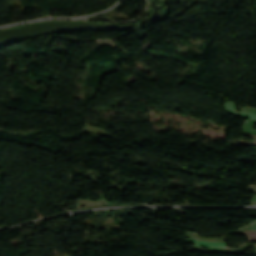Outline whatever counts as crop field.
I'll return each mask as SVG.
<instances>
[{"instance_id": "obj_1", "label": "crop field", "mask_w": 256, "mask_h": 256, "mask_svg": "<svg viewBox=\"0 0 256 256\" xmlns=\"http://www.w3.org/2000/svg\"><path fill=\"white\" fill-rule=\"evenodd\" d=\"M225 106L227 108L228 113H230V114H234V115L247 117V118H251V119L256 120V115L255 114H251V113H247V112H243V111H241L240 114L236 113L235 106H234L233 103H227Z\"/></svg>"}, {"instance_id": "obj_2", "label": "crop field", "mask_w": 256, "mask_h": 256, "mask_svg": "<svg viewBox=\"0 0 256 256\" xmlns=\"http://www.w3.org/2000/svg\"><path fill=\"white\" fill-rule=\"evenodd\" d=\"M186 242L197 243V245H199V246H211V247H223V248H227V247L225 246L226 243L203 242V241L190 240V239H187Z\"/></svg>"}, {"instance_id": "obj_3", "label": "crop field", "mask_w": 256, "mask_h": 256, "mask_svg": "<svg viewBox=\"0 0 256 256\" xmlns=\"http://www.w3.org/2000/svg\"><path fill=\"white\" fill-rule=\"evenodd\" d=\"M234 234H242L246 236L249 241H256V231H238L235 232Z\"/></svg>"}, {"instance_id": "obj_4", "label": "crop field", "mask_w": 256, "mask_h": 256, "mask_svg": "<svg viewBox=\"0 0 256 256\" xmlns=\"http://www.w3.org/2000/svg\"><path fill=\"white\" fill-rule=\"evenodd\" d=\"M239 134L256 138V135L245 133V132H240ZM245 145L256 147V141L255 140H253L252 142L247 141Z\"/></svg>"}, {"instance_id": "obj_5", "label": "crop field", "mask_w": 256, "mask_h": 256, "mask_svg": "<svg viewBox=\"0 0 256 256\" xmlns=\"http://www.w3.org/2000/svg\"><path fill=\"white\" fill-rule=\"evenodd\" d=\"M243 230H256V224L249 226L248 229H243Z\"/></svg>"}, {"instance_id": "obj_6", "label": "crop field", "mask_w": 256, "mask_h": 256, "mask_svg": "<svg viewBox=\"0 0 256 256\" xmlns=\"http://www.w3.org/2000/svg\"><path fill=\"white\" fill-rule=\"evenodd\" d=\"M249 190H252L256 193V186L248 187Z\"/></svg>"}, {"instance_id": "obj_7", "label": "crop field", "mask_w": 256, "mask_h": 256, "mask_svg": "<svg viewBox=\"0 0 256 256\" xmlns=\"http://www.w3.org/2000/svg\"><path fill=\"white\" fill-rule=\"evenodd\" d=\"M253 201H256V195H255V198H254V200Z\"/></svg>"}]
</instances>
